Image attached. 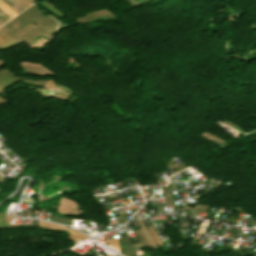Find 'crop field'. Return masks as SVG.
<instances>
[{"label":"crop field","mask_w":256,"mask_h":256,"mask_svg":"<svg viewBox=\"0 0 256 256\" xmlns=\"http://www.w3.org/2000/svg\"><path fill=\"white\" fill-rule=\"evenodd\" d=\"M9 19H11V18L0 9V20L4 23V22L8 21Z\"/></svg>","instance_id":"ac0d7876"},{"label":"crop field","mask_w":256,"mask_h":256,"mask_svg":"<svg viewBox=\"0 0 256 256\" xmlns=\"http://www.w3.org/2000/svg\"><path fill=\"white\" fill-rule=\"evenodd\" d=\"M9 8H11L16 14L19 13L20 11L13 6L8 0H2Z\"/></svg>","instance_id":"34b2d1b8"},{"label":"crop field","mask_w":256,"mask_h":256,"mask_svg":"<svg viewBox=\"0 0 256 256\" xmlns=\"http://www.w3.org/2000/svg\"><path fill=\"white\" fill-rule=\"evenodd\" d=\"M0 8H1L4 12H6L11 18L16 15V14H15L11 9H9L1 0H0Z\"/></svg>","instance_id":"8a807250"},{"label":"crop field","mask_w":256,"mask_h":256,"mask_svg":"<svg viewBox=\"0 0 256 256\" xmlns=\"http://www.w3.org/2000/svg\"><path fill=\"white\" fill-rule=\"evenodd\" d=\"M13 5H15L20 11L25 9L21 4H19L16 0H9Z\"/></svg>","instance_id":"f4fd0767"},{"label":"crop field","mask_w":256,"mask_h":256,"mask_svg":"<svg viewBox=\"0 0 256 256\" xmlns=\"http://www.w3.org/2000/svg\"><path fill=\"white\" fill-rule=\"evenodd\" d=\"M17 1L20 2L25 8L33 3V0H17Z\"/></svg>","instance_id":"412701ff"}]
</instances>
